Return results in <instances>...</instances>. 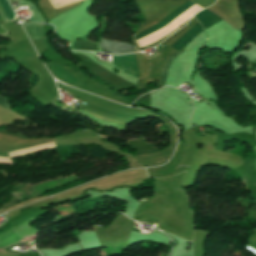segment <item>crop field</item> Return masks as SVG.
<instances>
[{
    "instance_id": "1",
    "label": "crop field",
    "mask_w": 256,
    "mask_h": 256,
    "mask_svg": "<svg viewBox=\"0 0 256 256\" xmlns=\"http://www.w3.org/2000/svg\"><path fill=\"white\" fill-rule=\"evenodd\" d=\"M114 65L123 69L124 72L138 78V68L135 55L115 57L113 56Z\"/></svg>"
},
{
    "instance_id": "2",
    "label": "crop field",
    "mask_w": 256,
    "mask_h": 256,
    "mask_svg": "<svg viewBox=\"0 0 256 256\" xmlns=\"http://www.w3.org/2000/svg\"><path fill=\"white\" fill-rule=\"evenodd\" d=\"M99 45L102 51L113 53V54L134 52V47L132 45H128V44H124L116 41H107L104 39H100Z\"/></svg>"
},
{
    "instance_id": "3",
    "label": "crop field",
    "mask_w": 256,
    "mask_h": 256,
    "mask_svg": "<svg viewBox=\"0 0 256 256\" xmlns=\"http://www.w3.org/2000/svg\"><path fill=\"white\" fill-rule=\"evenodd\" d=\"M195 3H193L192 1H188L186 2L184 5H182L179 9H177L175 12H173L171 15H169L166 19H164L162 22H160L159 24L150 27L138 34H136V36H134L135 40L163 27L164 25H166L168 22H170L171 20H173L175 17H177L178 15H180L181 13H183L185 10H187L188 8H190L192 5H194ZM169 24V23H168ZM165 27V26H164Z\"/></svg>"
},
{
    "instance_id": "4",
    "label": "crop field",
    "mask_w": 256,
    "mask_h": 256,
    "mask_svg": "<svg viewBox=\"0 0 256 256\" xmlns=\"http://www.w3.org/2000/svg\"><path fill=\"white\" fill-rule=\"evenodd\" d=\"M195 18L198 19V21L200 22V24L205 28H209L212 25L216 24L217 22H219L220 20H222L220 17H218L217 15L209 12L208 10H203L201 12H199L198 14H196Z\"/></svg>"
},
{
    "instance_id": "5",
    "label": "crop field",
    "mask_w": 256,
    "mask_h": 256,
    "mask_svg": "<svg viewBox=\"0 0 256 256\" xmlns=\"http://www.w3.org/2000/svg\"><path fill=\"white\" fill-rule=\"evenodd\" d=\"M202 31H204L202 26L200 24L196 25L185 36H183L179 41L174 43L172 45V47H174L176 50L179 51L182 47H184L186 44H188L196 35H198Z\"/></svg>"
},
{
    "instance_id": "6",
    "label": "crop field",
    "mask_w": 256,
    "mask_h": 256,
    "mask_svg": "<svg viewBox=\"0 0 256 256\" xmlns=\"http://www.w3.org/2000/svg\"><path fill=\"white\" fill-rule=\"evenodd\" d=\"M0 106H2L5 110L12 108L9 102L1 96H0Z\"/></svg>"
}]
</instances>
